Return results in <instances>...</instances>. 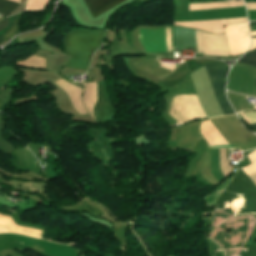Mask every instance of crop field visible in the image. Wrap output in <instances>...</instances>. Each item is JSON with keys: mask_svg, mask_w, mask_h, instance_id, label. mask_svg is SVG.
<instances>
[{"mask_svg": "<svg viewBox=\"0 0 256 256\" xmlns=\"http://www.w3.org/2000/svg\"><path fill=\"white\" fill-rule=\"evenodd\" d=\"M102 33L103 31L92 30H73L68 33L64 43L67 54L72 57L66 65L87 70Z\"/></svg>", "mask_w": 256, "mask_h": 256, "instance_id": "crop-field-1", "label": "crop field"}, {"mask_svg": "<svg viewBox=\"0 0 256 256\" xmlns=\"http://www.w3.org/2000/svg\"><path fill=\"white\" fill-rule=\"evenodd\" d=\"M174 33L176 50L196 47L194 30L174 27ZM139 39L147 53L166 52L164 29H140ZM174 50L175 47H173Z\"/></svg>", "mask_w": 256, "mask_h": 256, "instance_id": "crop-field-2", "label": "crop field"}, {"mask_svg": "<svg viewBox=\"0 0 256 256\" xmlns=\"http://www.w3.org/2000/svg\"><path fill=\"white\" fill-rule=\"evenodd\" d=\"M207 76L216 93L219 103L225 115L234 113L226 96H225V80L228 72V67L223 63H213L203 66Z\"/></svg>", "mask_w": 256, "mask_h": 256, "instance_id": "crop-field-3", "label": "crop field"}, {"mask_svg": "<svg viewBox=\"0 0 256 256\" xmlns=\"http://www.w3.org/2000/svg\"><path fill=\"white\" fill-rule=\"evenodd\" d=\"M126 0H84L93 18L105 13L112 7Z\"/></svg>", "mask_w": 256, "mask_h": 256, "instance_id": "crop-field-4", "label": "crop field"}, {"mask_svg": "<svg viewBox=\"0 0 256 256\" xmlns=\"http://www.w3.org/2000/svg\"><path fill=\"white\" fill-rule=\"evenodd\" d=\"M19 3L7 1V0H0V14L8 15L11 13L15 8H17Z\"/></svg>", "mask_w": 256, "mask_h": 256, "instance_id": "crop-field-5", "label": "crop field"}, {"mask_svg": "<svg viewBox=\"0 0 256 256\" xmlns=\"http://www.w3.org/2000/svg\"><path fill=\"white\" fill-rule=\"evenodd\" d=\"M2 117H0V150L5 151V152H11L13 151L14 147H12L8 142L2 139L1 137V128H2Z\"/></svg>", "mask_w": 256, "mask_h": 256, "instance_id": "crop-field-6", "label": "crop field"}, {"mask_svg": "<svg viewBox=\"0 0 256 256\" xmlns=\"http://www.w3.org/2000/svg\"><path fill=\"white\" fill-rule=\"evenodd\" d=\"M238 62L248 63L256 67V51L245 54Z\"/></svg>", "mask_w": 256, "mask_h": 256, "instance_id": "crop-field-7", "label": "crop field"}, {"mask_svg": "<svg viewBox=\"0 0 256 256\" xmlns=\"http://www.w3.org/2000/svg\"><path fill=\"white\" fill-rule=\"evenodd\" d=\"M8 25V19L5 18L0 22V30H2L3 28H5Z\"/></svg>", "mask_w": 256, "mask_h": 256, "instance_id": "crop-field-8", "label": "crop field"}, {"mask_svg": "<svg viewBox=\"0 0 256 256\" xmlns=\"http://www.w3.org/2000/svg\"><path fill=\"white\" fill-rule=\"evenodd\" d=\"M252 26H256V21L250 23V27H252ZM254 38H256V37H253V38H251V39H254Z\"/></svg>", "mask_w": 256, "mask_h": 256, "instance_id": "crop-field-9", "label": "crop field"}, {"mask_svg": "<svg viewBox=\"0 0 256 256\" xmlns=\"http://www.w3.org/2000/svg\"><path fill=\"white\" fill-rule=\"evenodd\" d=\"M250 126H252L256 130V124H251Z\"/></svg>", "mask_w": 256, "mask_h": 256, "instance_id": "crop-field-10", "label": "crop field"}, {"mask_svg": "<svg viewBox=\"0 0 256 256\" xmlns=\"http://www.w3.org/2000/svg\"><path fill=\"white\" fill-rule=\"evenodd\" d=\"M189 4H194V3H189Z\"/></svg>", "mask_w": 256, "mask_h": 256, "instance_id": "crop-field-11", "label": "crop field"}]
</instances>
